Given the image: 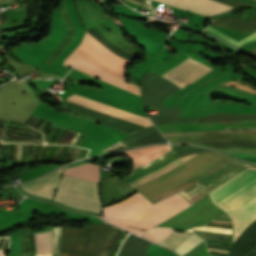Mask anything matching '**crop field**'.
I'll list each match as a JSON object with an SVG mask.
<instances>
[{"label":"crop field","mask_w":256,"mask_h":256,"mask_svg":"<svg viewBox=\"0 0 256 256\" xmlns=\"http://www.w3.org/2000/svg\"><path fill=\"white\" fill-rule=\"evenodd\" d=\"M254 173H256V168L248 167L237 176L213 190L210 193L211 200L219 197ZM213 202L230 215L234 224V242L243 230L256 220V174L215 199ZM255 246L256 221L248 226L233 243L230 256H244L254 249Z\"/></svg>","instance_id":"8a807250"},{"label":"crop field","mask_w":256,"mask_h":256,"mask_svg":"<svg viewBox=\"0 0 256 256\" xmlns=\"http://www.w3.org/2000/svg\"><path fill=\"white\" fill-rule=\"evenodd\" d=\"M191 206L177 193L153 205L138 192L104 208V219L139 235L148 228Z\"/></svg>","instance_id":"ac0d7876"},{"label":"crop field","mask_w":256,"mask_h":256,"mask_svg":"<svg viewBox=\"0 0 256 256\" xmlns=\"http://www.w3.org/2000/svg\"><path fill=\"white\" fill-rule=\"evenodd\" d=\"M70 57L125 81L126 68L131 63L106 49L88 33L85 34L81 45L70 55ZM71 58H68L64 64L96 79L140 95L139 88L132 83L125 82Z\"/></svg>","instance_id":"34b2d1b8"},{"label":"crop field","mask_w":256,"mask_h":256,"mask_svg":"<svg viewBox=\"0 0 256 256\" xmlns=\"http://www.w3.org/2000/svg\"><path fill=\"white\" fill-rule=\"evenodd\" d=\"M179 87L152 71L142 77V106L158 107L162 114L150 117L155 125L168 123H196V118L181 119V107H165L162 100L178 91Z\"/></svg>","instance_id":"412701ff"},{"label":"crop field","mask_w":256,"mask_h":256,"mask_svg":"<svg viewBox=\"0 0 256 256\" xmlns=\"http://www.w3.org/2000/svg\"><path fill=\"white\" fill-rule=\"evenodd\" d=\"M108 224L63 228L61 256H100L111 233Z\"/></svg>","instance_id":"f4fd0767"},{"label":"crop field","mask_w":256,"mask_h":256,"mask_svg":"<svg viewBox=\"0 0 256 256\" xmlns=\"http://www.w3.org/2000/svg\"><path fill=\"white\" fill-rule=\"evenodd\" d=\"M72 208L100 213L98 184L63 175L53 199Z\"/></svg>","instance_id":"dd49c442"},{"label":"crop field","mask_w":256,"mask_h":256,"mask_svg":"<svg viewBox=\"0 0 256 256\" xmlns=\"http://www.w3.org/2000/svg\"><path fill=\"white\" fill-rule=\"evenodd\" d=\"M165 4H169L182 9L190 10L202 15H214L218 12L228 10L234 7L249 5L246 2L240 0H217L226 4L214 1V0H155Z\"/></svg>","instance_id":"e52e79f7"},{"label":"crop field","mask_w":256,"mask_h":256,"mask_svg":"<svg viewBox=\"0 0 256 256\" xmlns=\"http://www.w3.org/2000/svg\"><path fill=\"white\" fill-rule=\"evenodd\" d=\"M67 101L103 112V113H107L146 127H150L153 124L151 123L150 119L73 94L72 96H70L69 98L66 99Z\"/></svg>","instance_id":"d8731c3e"},{"label":"crop field","mask_w":256,"mask_h":256,"mask_svg":"<svg viewBox=\"0 0 256 256\" xmlns=\"http://www.w3.org/2000/svg\"><path fill=\"white\" fill-rule=\"evenodd\" d=\"M62 168L35 182L20 185L21 188L35 196L51 199L59 182Z\"/></svg>","instance_id":"5a996713"},{"label":"crop field","mask_w":256,"mask_h":256,"mask_svg":"<svg viewBox=\"0 0 256 256\" xmlns=\"http://www.w3.org/2000/svg\"><path fill=\"white\" fill-rule=\"evenodd\" d=\"M170 150H172L170 145L149 146L145 148L126 151L123 153V155L130 157L133 164L132 169H134Z\"/></svg>","instance_id":"3316defc"},{"label":"crop field","mask_w":256,"mask_h":256,"mask_svg":"<svg viewBox=\"0 0 256 256\" xmlns=\"http://www.w3.org/2000/svg\"><path fill=\"white\" fill-rule=\"evenodd\" d=\"M64 174L99 183L100 166L83 164L76 167L65 168Z\"/></svg>","instance_id":"28ad6ade"},{"label":"crop field","mask_w":256,"mask_h":256,"mask_svg":"<svg viewBox=\"0 0 256 256\" xmlns=\"http://www.w3.org/2000/svg\"><path fill=\"white\" fill-rule=\"evenodd\" d=\"M149 243L130 234L120 256H145L149 249Z\"/></svg>","instance_id":"d1516ede"},{"label":"crop field","mask_w":256,"mask_h":256,"mask_svg":"<svg viewBox=\"0 0 256 256\" xmlns=\"http://www.w3.org/2000/svg\"><path fill=\"white\" fill-rule=\"evenodd\" d=\"M35 256H52V230L49 232L34 233Z\"/></svg>","instance_id":"22f410ed"},{"label":"crop field","mask_w":256,"mask_h":256,"mask_svg":"<svg viewBox=\"0 0 256 256\" xmlns=\"http://www.w3.org/2000/svg\"><path fill=\"white\" fill-rule=\"evenodd\" d=\"M212 26H218V27H224V28H230V29H236V30H242V31H254L256 30V24L249 23L233 18H222L217 21H215Z\"/></svg>","instance_id":"cbeb9de0"},{"label":"crop field","mask_w":256,"mask_h":256,"mask_svg":"<svg viewBox=\"0 0 256 256\" xmlns=\"http://www.w3.org/2000/svg\"><path fill=\"white\" fill-rule=\"evenodd\" d=\"M191 235L189 232L185 233H179L176 231H173L169 236H167L164 240H162L159 244L170 248L175 249L177 248L186 238H188ZM172 250V251H173Z\"/></svg>","instance_id":"5142ce71"},{"label":"crop field","mask_w":256,"mask_h":256,"mask_svg":"<svg viewBox=\"0 0 256 256\" xmlns=\"http://www.w3.org/2000/svg\"><path fill=\"white\" fill-rule=\"evenodd\" d=\"M172 231H173L172 229H168V228H152L147 233L141 236L158 243L162 239H164L168 234H170Z\"/></svg>","instance_id":"d9b57169"},{"label":"crop field","mask_w":256,"mask_h":256,"mask_svg":"<svg viewBox=\"0 0 256 256\" xmlns=\"http://www.w3.org/2000/svg\"><path fill=\"white\" fill-rule=\"evenodd\" d=\"M198 237L195 235H191L187 240H185L176 250H174L179 255L183 256L189 250H191L194 246H196L199 242H201Z\"/></svg>","instance_id":"733c2abd"},{"label":"crop field","mask_w":256,"mask_h":256,"mask_svg":"<svg viewBox=\"0 0 256 256\" xmlns=\"http://www.w3.org/2000/svg\"><path fill=\"white\" fill-rule=\"evenodd\" d=\"M206 30H208V31L212 32L213 34H215V35H217V36H219V37H221V38H223V39L233 43L234 45H236L238 47H240L245 42H248V41L256 39V33H254V34H252V35H250V36H248V37H246V38H244V39H242V40L237 42V41L231 39L230 37L224 35L223 33L219 32V31H217V30H215V29H213L211 27H208Z\"/></svg>","instance_id":"4a817a6b"},{"label":"crop field","mask_w":256,"mask_h":256,"mask_svg":"<svg viewBox=\"0 0 256 256\" xmlns=\"http://www.w3.org/2000/svg\"><path fill=\"white\" fill-rule=\"evenodd\" d=\"M154 131H156V128H155L154 126H152V127L148 128V129H146V130H143V131H141V132H139V133H136V134H134V135H132V136H130V137H128V138L122 140V142H123L125 145H127L128 143H130V142H132V141H135V140H137V139H139V138H141V137H143V136H145V135H148V134H150V133H152V132H154Z\"/></svg>","instance_id":"bc2a9ffb"},{"label":"crop field","mask_w":256,"mask_h":256,"mask_svg":"<svg viewBox=\"0 0 256 256\" xmlns=\"http://www.w3.org/2000/svg\"><path fill=\"white\" fill-rule=\"evenodd\" d=\"M256 12V8L232 15L230 17H234V18H239V19H244V20H248L250 21V19L253 17V15Z\"/></svg>","instance_id":"214f88e0"},{"label":"crop field","mask_w":256,"mask_h":256,"mask_svg":"<svg viewBox=\"0 0 256 256\" xmlns=\"http://www.w3.org/2000/svg\"><path fill=\"white\" fill-rule=\"evenodd\" d=\"M128 1H131V2L137 3V4H139V5H142V6H145V7L150 8V7L147 5V0H128ZM150 9H151V8H150Z\"/></svg>","instance_id":"92a150f3"},{"label":"crop field","mask_w":256,"mask_h":256,"mask_svg":"<svg viewBox=\"0 0 256 256\" xmlns=\"http://www.w3.org/2000/svg\"><path fill=\"white\" fill-rule=\"evenodd\" d=\"M252 22H256V14L254 15V17L251 19Z\"/></svg>","instance_id":"dafd665d"},{"label":"crop field","mask_w":256,"mask_h":256,"mask_svg":"<svg viewBox=\"0 0 256 256\" xmlns=\"http://www.w3.org/2000/svg\"><path fill=\"white\" fill-rule=\"evenodd\" d=\"M248 256H256V253L251 252Z\"/></svg>","instance_id":"00972430"}]
</instances>
